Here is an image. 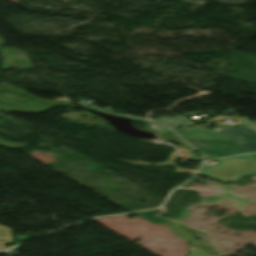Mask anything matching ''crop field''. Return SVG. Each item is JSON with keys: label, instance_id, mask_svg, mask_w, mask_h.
Wrapping results in <instances>:
<instances>
[{"label": "crop field", "instance_id": "crop-field-1", "mask_svg": "<svg viewBox=\"0 0 256 256\" xmlns=\"http://www.w3.org/2000/svg\"><path fill=\"white\" fill-rule=\"evenodd\" d=\"M199 174L220 180L236 181L256 174V155H244L218 160L214 166L204 165Z\"/></svg>", "mask_w": 256, "mask_h": 256}, {"label": "crop field", "instance_id": "crop-field-2", "mask_svg": "<svg viewBox=\"0 0 256 256\" xmlns=\"http://www.w3.org/2000/svg\"><path fill=\"white\" fill-rule=\"evenodd\" d=\"M186 141L194 145L199 150H203L208 153L210 152L213 153L212 158L226 157V156H230L238 153H244V152H253L233 141H214V140H186Z\"/></svg>", "mask_w": 256, "mask_h": 256}, {"label": "crop field", "instance_id": "crop-field-3", "mask_svg": "<svg viewBox=\"0 0 256 256\" xmlns=\"http://www.w3.org/2000/svg\"><path fill=\"white\" fill-rule=\"evenodd\" d=\"M240 119L245 124L244 126H239L237 129L218 128L212 131L228 139L256 141V122H249L246 117Z\"/></svg>", "mask_w": 256, "mask_h": 256}, {"label": "crop field", "instance_id": "crop-field-4", "mask_svg": "<svg viewBox=\"0 0 256 256\" xmlns=\"http://www.w3.org/2000/svg\"><path fill=\"white\" fill-rule=\"evenodd\" d=\"M0 94H8V93H0ZM10 95L23 97V96L17 95V94H10ZM53 108H55V107H49V106L40 104L35 101H34V103L25 104V103H17V102H13V101H8V100H4V99L0 98V109L9 111V112L40 114L43 112H47Z\"/></svg>", "mask_w": 256, "mask_h": 256}, {"label": "crop field", "instance_id": "crop-field-5", "mask_svg": "<svg viewBox=\"0 0 256 256\" xmlns=\"http://www.w3.org/2000/svg\"><path fill=\"white\" fill-rule=\"evenodd\" d=\"M178 135L182 138H218V139H226L209 129L202 127V128H184V129H173Z\"/></svg>", "mask_w": 256, "mask_h": 256}, {"label": "crop field", "instance_id": "crop-field-6", "mask_svg": "<svg viewBox=\"0 0 256 256\" xmlns=\"http://www.w3.org/2000/svg\"><path fill=\"white\" fill-rule=\"evenodd\" d=\"M158 120L164 124H166L167 126H184V125H192L191 121L181 115L172 118V120H170V117H164L161 119H155Z\"/></svg>", "mask_w": 256, "mask_h": 256}, {"label": "crop field", "instance_id": "crop-field-7", "mask_svg": "<svg viewBox=\"0 0 256 256\" xmlns=\"http://www.w3.org/2000/svg\"><path fill=\"white\" fill-rule=\"evenodd\" d=\"M177 155H175V152L171 153L170 156H169V159L164 162V163H159V164H154V163H145V162H131V161H127V162H131V163H134V164H146V165H172L174 167H176L174 165V160H175V157ZM122 161V160H120ZM197 170H185V169H180L178 167H176V171L175 172H186V173H190V174H194L196 173Z\"/></svg>", "mask_w": 256, "mask_h": 256}, {"label": "crop field", "instance_id": "crop-field-8", "mask_svg": "<svg viewBox=\"0 0 256 256\" xmlns=\"http://www.w3.org/2000/svg\"><path fill=\"white\" fill-rule=\"evenodd\" d=\"M5 89H6V91H11V92H15V93H19V94H22V95L29 96L33 99H36V100L41 101V102H43L45 104H48V105L64 106V105L69 104L68 101H45V100L37 99L35 97H32V96L22 92L21 89L14 88V87L5 86Z\"/></svg>", "mask_w": 256, "mask_h": 256}, {"label": "crop field", "instance_id": "crop-field-9", "mask_svg": "<svg viewBox=\"0 0 256 256\" xmlns=\"http://www.w3.org/2000/svg\"><path fill=\"white\" fill-rule=\"evenodd\" d=\"M189 256H212L211 254L194 246L187 247Z\"/></svg>", "mask_w": 256, "mask_h": 256}, {"label": "crop field", "instance_id": "crop-field-10", "mask_svg": "<svg viewBox=\"0 0 256 256\" xmlns=\"http://www.w3.org/2000/svg\"><path fill=\"white\" fill-rule=\"evenodd\" d=\"M0 146H5L9 149H19L25 146H28L27 144H18V143H13V142H8L5 140L0 139Z\"/></svg>", "mask_w": 256, "mask_h": 256}, {"label": "crop field", "instance_id": "crop-field-11", "mask_svg": "<svg viewBox=\"0 0 256 256\" xmlns=\"http://www.w3.org/2000/svg\"><path fill=\"white\" fill-rule=\"evenodd\" d=\"M161 139H162V141L177 142V143L183 145L185 148H190V149H191L190 146H188V145H187L186 143H184L183 141L177 139L176 136H174V135H172V134H171V135H163V136H161Z\"/></svg>", "mask_w": 256, "mask_h": 256}, {"label": "crop field", "instance_id": "crop-field-12", "mask_svg": "<svg viewBox=\"0 0 256 256\" xmlns=\"http://www.w3.org/2000/svg\"><path fill=\"white\" fill-rule=\"evenodd\" d=\"M0 239H12L11 229L0 225Z\"/></svg>", "mask_w": 256, "mask_h": 256}, {"label": "crop field", "instance_id": "crop-field-13", "mask_svg": "<svg viewBox=\"0 0 256 256\" xmlns=\"http://www.w3.org/2000/svg\"><path fill=\"white\" fill-rule=\"evenodd\" d=\"M85 108H89V109H93V110H97V109H95V108H93V107H85ZM109 114V113H108ZM116 116V115H115ZM121 117V116H120ZM125 118H127V117H125ZM134 121H136L137 119H133ZM146 122H148L149 123V127H150V124H154L153 122H149V121H146ZM150 129H153V130H155V131H157V132H160V133H168V132H171L170 130H168L166 127H156V128H151L150 127Z\"/></svg>", "mask_w": 256, "mask_h": 256}, {"label": "crop field", "instance_id": "crop-field-14", "mask_svg": "<svg viewBox=\"0 0 256 256\" xmlns=\"http://www.w3.org/2000/svg\"><path fill=\"white\" fill-rule=\"evenodd\" d=\"M235 142H237V143H239V144H241V145H243V146H245V147H247V148H249V149H251V150L256 152V143H253V142H242V141H235Z\"/></svg>", "mask_w": 256, "mask_h": 256}, {"label": "crop field", "instance_id": "crop-field-15", "mask_svg": "<svg viewBox=\"0 0 256 256\" xmlns=\"http://www.w3.org/2000/svg\"><path fill=\"white\" fill-rule=\"evenodd\" d=\"M11 240H0V249L4 248V245L10 243Z\"/></svg>", "mask_w": 256, "mask_h": 256}, {"label": "crop field", "instance_id": "crop-field-16", "mask_svg": "<svg viewBox=\"0 0 256 256\" xmlns=\"http://www.w3.org/2000/svg\"><path fill=\"white\" fill-rule=\"evenodd\" d=\"M154 123H155V122H154ZM155 125H156V126H162V125H160V124H158V123H155Z\"/></svg>", "mask_w": 256, "mask_h": 256}, {"label": "crop field", "instance_id": "crop-field-17", "mask_svg": "<svg viewBox=\"0 0 256 256\" xmlns=\"http://www.w3.org/2000/svg\"><path fill=\"white\" fill-rule=\"evenodd\" d=\"M7 251H10V250H6V251H0V253H2V252H7Z\"/></svg>", "mask_w": 256, "mask_h": 256}, {"label": "crop field", "instance_id": "crop-field-18", "mask_svg": "<svg viewBox=\"0 0 256 256\" xmlns=\"http://www.w3.org/2000/svg\"><path fill=\"white\" fill-rule=\"evenodd\" d=\"M0 91H2V87L0 86Z\"/></svg>", "mask_w": 256, "mask_h": 256}]
</instances>
